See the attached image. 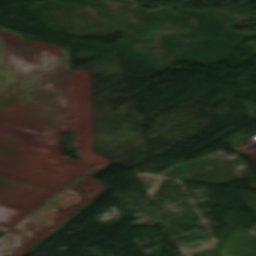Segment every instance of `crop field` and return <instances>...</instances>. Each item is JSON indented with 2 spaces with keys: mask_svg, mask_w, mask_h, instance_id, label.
I'll return each instance as SVG.
<instances>
[{
  "mask_svg": "<svg viewBox=\"0 0 256 256\" xmlns=\"http://www.w3.org/2000/svg\"><path fill=\"white\" fill-rule=\"evenodd\" d=\"M78 201L79 200L72 199L57 193L53 197V202L44 203L28 217H26V219L30 220V222L47 226L50 223L49 211L53 207L73 206Z\"/></svg>",
  "mask_w": 256,
  "mask_h": 256,
  "instance_id": "1",
  "label": "crop field"
},
{
  "mask_svg": "<svg viewBox=\"0 0 256 256\" xmlns=\"http://www.w3.org/2000/svg\"><path fill=\"white\" fill-rule=\"evenodd\" d=\"M22 231L23 230L14 226L8 232H6L3 236H1L0 237V249Z\"/></svg>",
  "mask_w": 256,
  "mask_h": 256,
  "instance_id": "2",
  "label": "crop field"
}]
</instances>
